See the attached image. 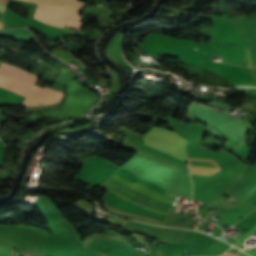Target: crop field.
I'll return each instance as SVG.
<instances>
[{
  "instance_id": "1",
  "label": "crop field",
  "mask_w": 256,
  "mask_h": 256,
  "mask_svg": "<svg viewBox=\"0 0 256 256\" xmlns=\"http://www.w3.org/2000/svg\"><path fill=\"white\" fill-rule=\"evenodd\" d=\"M144 144L173 155L187 162L185 148L187 140L169 130L152 127L144 136Z\"/></svg>"
},
{
  "instance_id": "2",
  "label": "crop field",
  "mask_w": 256,
  "mask_h": 256,
  "mask_svg": "<svg viewBox=\"0 0 256 256\" xmlns=\"http://www.w3.org/2000/svg\"><path fill=\"white\" fill-rule=\"evenodd\" d=\"M36 79L37 77L12 66H0V86L25 97Z\"/></svg>"
},
{
  "instance_id": "3",
  "label": "crop field",
  "mask_w": 256,
  "mask_h": 256,
  "mask_svg": "<svg viewBox=\"0 0 256 256\" xmlns=\"http://www.w3.org/2000/svg\"><path fill=\"white\" fill-rule=\"evenodd\" d=\"M63 93L47 88L33 87L29 92L24 102L23 106H40L55 104L61 100Z\"/></svg>"
},
{
  "instance_id": "4",
  "label": "crop field",
  "mask_w": 256,
  "mask_h": 256,
  "mask_svg": "<svg viewBox=\"0 0 256 256\" xmlns=\"http://www.w3.org/2000/svg\"><path fill=\"white\" fill-rule=\"evenodd\" d=\"M110 177L117 180L118 182L124 184L125 186H127V187H129V188H131V189L149 197V198H152V199H155V200H158V201L170 204V205H172V203L175 199L173 197H169V196L159 194L156 191H154L150 188L144 187V186H142V185H140L136 182H135V184L131 183V181H128V180H126V179H124V178H122V177H120V176H118L114 173Z\"/></svg>"
},
{
  "instance_id": "5",
  "label": "crop field",
  "mask_w": 256,
  "mask_h": 256,
  "mask_svg": "<svg viewBox=\"0 0 256 256\" xmlns=\"http://www.w3.org/2000/svg\"><path fill=\"white\" fill-rule=\"evenodd\" d=\"M190 174L210 176L220 170V166L211 159L188 158Z\"/></svg>"
},
{
  "instance_id": "6",
  "label": "crop field",
  "mask_w": 256,
  "mask_h": 256,
  "mask_svg": "<svg viewBox=\"0 0 256 256\" xmlns=\"http://www.w3.org/2000/svg\"><path fill=\"white\" fill-rule=\"evenodd\" d=\"M78 12L85 4L76 0H23Z\"/></svg>"
},
{
  "instance_id": "7",
  "label": "crop field",
  "mask_w": 256,
  "mask_h": 256,
  "mask_svg": "<svg viewBox=\"0 0 256 256\" xmlns=\"http://www.w3.org/2000/svg\"><path fill=\"white\" fill-rule=\"evenodd\" d=\"M254 230H256L255 227L252 228L248 233H246V234H244V235L238 237V238H237V239H238V242H237L234 246H236V247L242 249L241 246H243V243L249 238V236H250L252 233H254V232H253Z\"/></svg>"
},
{
  "instance_id": "8",
  "label": "crop field",
  "mask_w": 256,
  "mask_h": 256,
  "mask_svg": "<svg viewBox=\"0 0 256 256\" xmlns=\"http://www.w3.org/2000/svg\"><path fill=\"white\" fill-rule=\"evenodd\" d=\"M255 195H256V182L250 186L248 191V196L244 201H242V203L247 204ZM254 205H256V203Z\"/></svg>"
},
{
  "instance_id": "9",
  "label": "crop field",
  "mask_w": 256,
  "mask_h": 256,
  "mask_svg": "<svg viewBox=\"0 0 256 256\" xmlns=\"http://www.w3.org/2000/svg\"><path fill=\"white\" fill-rule=\"evenodd\" d=\"M222 256H248V255L244 254L243 252H241L235 248H231L229 251H227Z\"/></svg>"
},
{
  "instance_id": "10",
  "label": "crop field",
  "mask_w": 256,
  "mask_h": 256,
  "mask_svg": "<svg viewBox=\"0 0 256 256\" xmlns=\"http://www.w3.org/2000/svg\"><path fill=\"white\" fill-rule=\"evenodd\" d=\"M250 249L253 250V249H256V247L250 248ZM251 250L244 249L243 251L247 252L248 254H250L252 256H256V250H253V251H251Z\"/></svg>"
},
{
  "instance_id": "11",
  "label": "crop field",
  "mask_w": 256,
  "mask_h": 256,
  "mask_svg": "<svg viewBox=\"0 0 256 256\" xmlns=\"http://www.w3.org/2000/svg\"><path fill=\"white\" fill-rule=\"evenodd\" d=\"M6 3H7V0H0V4H1V5L5 6ZM1 5H0V11H1V12H4L6 6L3 7V6H1Z\"/></svg>"
},
{
  "instance_id": "12",
  "label": "crop field",
  "mask_w": 256,
  "mask_h": 256,
  "mask_svg": "<svg viewBox=\"0 0 256 256\" xmlns=\"http://www.w3.org/2000/svg\"><path fill=\"white\" fill-rule=\"evenodd\" d=\"M0 28H3V22L0 21Z\"/></svg>"
},
{
  "instance_id": "13",
  "label": "crop field",
  "mask_w": 256,
  "mask_h": 256,
  "mask_svg": "<svg viewBox=\"0 0 256 256\" xmlns=\"http://www.w3.org/2000/svg\"><path fill=\"white\" fill-rule=\"evenodd\" d=\"M170 195V194H169ZM174 196V195H173ZM177 197H179V196H177ZM188 199V198H187Z\"/></svg>"
},
{
  "instance_id": "14",
  "label": "crop field",
  "mask_w": 256,
  "mask_h": 256,
  "mask_svg": "<svg viewBox=\"0 0 256 256\" xmlns=\"http://www.w3.org/2000/svg\"><path fill=\"white\" fill-rule=\"evenodd\" d=\"M13 253V252H12ZM18 256V255H17Z\"/></svg>"
},
{
  "instance_id": "15",
  "label": "crop field",
  "mask_w": 256,
  "mask_h": 256,
  "mask_svg": "<svg viewBox=\"0 0 256 256\" xmlns=\"http://www.w3.org/2000/svg\"><path fill=\"white\" fill-rule=\"evenodd\" d=\"M256 227V226H255Z\"/></svg>"
}]
</instances>
